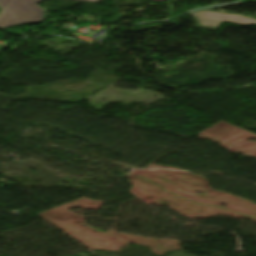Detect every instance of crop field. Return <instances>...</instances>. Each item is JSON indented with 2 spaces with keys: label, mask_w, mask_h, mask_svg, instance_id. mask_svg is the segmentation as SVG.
I'll return each instance as SVG.
<instances>
[{
  "label": "crop field",
  "mask_w": 256,
  "mask_h": 256,
  "mask_svg": "<svg viewBox=\"0 0 256 256\" xmlns=\"http://www.w3.org/2000/svg\"><path fill=\"white\" fill-rule=\"evenodd\" d=\"M42 0H0V28L43 21V10L36 5Z\"/></svg>",
  "instance_id": "crop-field-1"
},
{
  "label": "crop field",
  "mask_w": 256,
  "mask_h": 256,
  "mask_svg": "<svg viewBox=\"0 0 256 256\" xmlns=\"http://www.w3.org/2000/svg\"><path fill=\"white\" fill-rule=\"evenodd\" d=\"M77 1H85V2L99 3L101 0H77Z\"/></svg>",
  "instance_id": "crop-field-2"
},
{
  "label": "crop field",
  "mask_w": 256,
  "mask_h": 256,
  "mask_svg": "<svg viewBox=\"0 0 256 256\" xmlns=\"http://www.w3.org/2000/svg\"><path fill=\"white\" fill-rule=\"evenodd\" d=\"M152 1H163V0H152Z\"/></svg>",
  "instance_id": "crop-field-3"
},
{
  "label": "crop field",
  "mask_w": 256,
  "mask_h": 256,
  "mask_svg": "<svg viewBox=\"0 0 256 256\" xmlns=\"http://www.w3.org/2000/svg\"><path fill=\"white\" fill-rule=\"evenodd\" d=\"M0 11H1V9H0Z\"/></svg>",
  "instance_id": "crop-field-4"
}]
</instances>
